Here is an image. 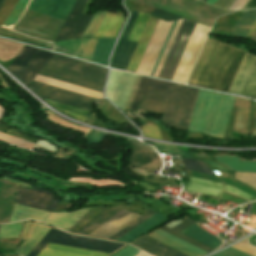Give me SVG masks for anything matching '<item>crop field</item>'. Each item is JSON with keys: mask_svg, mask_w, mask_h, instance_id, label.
Returning a JSON list of instances; mask_svg holds the SVG:
<instances>
[{"mask_svg": "<svg viewBox=\"0 0 256 256\" xmlns=\"http://www.w3.org/2000/svg\"><path fill=\"white\" fill-rule=\"evenodd\" d=\"M177 21H178V20L174 21L173 24H172V26H171V29H170V31H169V33H168V35H167V38H166V40H165V42H164V45H163V47H162V49H161V51H160V54H159V56H158V58H157V61H156L155 65H154V67H153V70H152L151 74H150L151 76L153 75V73H154V71H155V69H156V67H157V64H158V62H159V60H160V58H161V56H162V53H163V51H164V49H165V47H166V45H167V43H168V40H169V38H170V36H171V34H172V32H173V29H174V27H175Z\"/></svg>", "mask_w": 256, "mask_h": 256, "instance_id": "obj_55", "label": "crop field"}, {"mask_svg": "<svg viewBox=\"0 0 256 256\" xmlns=\"http://www.w3.org/2000/svg\"><path fill=\"white\" fill-rule=\"evenodd\" d=\"M133 245L155 255V256H186L172 248H169L147 236L139 238ZM132 245V246H133ZM134 246V247H135Z\"/></svg>", "mask_w": 256, "mask_h": 256, "instance_id": "obj_19", "label": "crop field"}, {"mask_svg": "<svg viewBox=\"0 0 256 256\" xmlns=\"http://www.w3.org/2000/svg\"><path fill=\"white\" fill-rule=\"evenodd\" d=\"M16 200L17 204L47 211H53L60 202L53 194L40 189H19Z\"/></svg>", "mask_w": 256, "mask_h": 256, "instance_id": "obj_14", "label": "crop field"}, {"mask_svg": "<svg viewBox=\"0 0 256 256\" xmlns=\"http://www.w3.org/2000/svg\"><path fill=\"white\" fill-rule=\"evenodd\" d=\"M166 104L165 102L145 98L139 110L153 114H162Z\"/></svg>", "mask_w": 256, "mask_h": 256, "instance_id": "obj_36", "label": "crop field"}, {"mask_svg": "<svg viewBox=\"0 0 256 256\" xmlns=\"http://www.w3.org/2000/svg\"><path fill=\"white\" fill-rule=\"evenodd\" d=\"M28 87L38 95L47 99L69 104L89 111L91 110V101L95 99L34 81H32Z\"/></svg>", "mask_w": 256, "mask_h": 256, "instance_id": "obj_10", "label": "crop field"}, {"mask_svg": "<svg viewBox=\"0 0 256 256\" xmlns=\"http://www.w3.org/2000/svg\"><path fill=\"white\" fill-rule=\"evenodd\" d=\"M122 209L118 208H108L106 211H104L100 216H98L94 221H92L88 226H86L82 231H80V234H86L89 235L94 230H96L98 227H100L102 224H104L107 220H109L111 217H113L115 214H117Z\"/></svg>", "mask_w": 256, "mask_h": 256, "instance_id": "obj_31", "label": "crop field"}, {"mask_svg": "<svg viewBox=\"0 0 256 256\" xmlns=\"http://www.w3.org/2000/svg\"><path fill=\"white\" fill-rule=\"evenodd\" d=\"M56 243L61 245H67L92 251H98L111 254L123 244H117L112 242H106L101 240H95L90 238H84L79 236H73L56 229H51L46 236L36 245V247L29 253L28 256H37L42 248L48 243Z\"/></svg>", "mask_w": 256, "mask_h": 256, "instance_id": "obj_6", "label": "crop field"}, {"mask_svg": "<svg viewBox=\"0 0 256 256\" xmlns=\"http://www.w3.org/2000/svg\"><path fill=\"white\" fill-rule=\"evenodd\" d=\"M51 55L52 53L24 45L7 70L27 86Z\"/></svg>", "mask_w": 256, "mask_h": 256, "instance_id": "obj_7", "label": "crop field"}, {"mask_svg": "<svg viewBox=\"0 0 256 256\" xmlns=\"http://www.w3.org/2000/svg\"><path fill=\"white\" fill-rule=\"evenodd\" d=\"M49 214L50 212L47 211L15 204L9 222L20 221L22 219L43 221Z\"/></svg>", "mask_w": 256, "mask_h": 256, "instance_id": "obj_24", "label": "crop field"}, {"mask_svg": "<svg viewBox=\"0 0 256 256\" xmlns=\"http://www.w3.org/2000/svg\"><path fill=\"white\" fill-rule=\"evenodd\" d=\"M149 15H152V16H155V17L167 20V21L183 18V17L176 16V15H173V14H170V13H167L164 11H160L157 9L153 10L151 13H149Z\"/></svg>", "mask_w": 256, "mask_h": 256, "instance_id": "obj_53", "label": "crop field"}, {"mask_svg": "<svg viewBox=\"0 0 256 256\" xmlns=\"http://www.w3.org/2000/svg\"><path fill=\"white\" fill-rule=\"evenodd\" d=\"M148 17H149L148 15H144L141 13L139 14V16L134 24V27H133L127 40L135 41V42L138 41Z\"/></svg>", "mask_w": 256, "mask_h": 256, "instance_id": "obj_39", "label": "crop field"}, {"mask_svg": "<svg viewBox=\"0 0 256 256\" xmlns=\"http://www.w3.org/2000/svg\"><path fill=\"white\" fill-rule=\"evenodd\" d=\"M215 161L225 167H228L234 171H252L256 172V163L254 162H244L239 161L238 157L234 156H215L213 155Z\"/></svg>", "mask_w": 256, "mask_h": 256, "instance_id": "obj_26", "label": "crop field"}, {"mask_svg": "<svg viewBox=\"0 0 256 256\" xmlns=\"http://www.w3.org/2000/svg\"><path fill=\"white\" fill-rule=\"evenodd\" d=\"M148 236H150V237H152V238H154V239H156V240H158V241H160V242H162V243H164V244H166V245H168V246H170V247H172V248H174V249H176V250H178V251H180V252H182V253H184L188 256H201V255H199V254H197V253H195V252H193V251H191V250H189V249H187V248H185V247H183V246H181V245H179V244H177V243H175V242H173L169 239H166V238H164V237H162V236H160V235H158L154 232L151 233Z\"/></svg>", "mask_w": 256, "mask_h": 256, "instance_id": "obj_38", "label": "crop field"}, {"mask_svg": "<svg viewBox=\"0 0 256 256\" xmlns=\"http://www.w3.org/2000/svg\"><path fill=\"white\" fill-rule=\"evenodd\" d=\"M0 36H4V37L12 38V39H15V40H18V41H22V42H25V43L37 45V46H40V47H43V48H46V49H49V50H51V47H52V44L41 42V41L31 39V38H28V37H24V36H21V35H18V34H14V33L8 32V31H6L2 28H0Z\"/></svg>", "mask_w": 256, "mask_h": 256, "instance_id": "obj_35", "label": "crop field"}, {"mask_svg": "<svg viewBox=\"0 0 256 256\" xmlns=\"http://www.w3.org/2000/svg\"><path fill=\"white\" fill-rule=\"evenodd\" d=\"M207 162V161H206ZM210 166H212L214 169H217V170H222V171H227V172H232L230 170H227L219 165H217L216 163L214 162H207ZM233 173V172H232Z\"/></svg>", "mask_w": 256, "mask_h": 256, "instance_id": "obj_62", "label": "crop field"}, {"mask_svg": "<svg viewBox=\"0 0 256 256\" xmlns=\"http://www.w3.org/2000/svg\"><path fill=\"white\" fill-rule=\"evenodd\" d=\"M22 223L23 222L9 225H1L0 238L18 237Z\"/></svg>", "mask_w": 256, "mask_h": 256, "instance_id": "obj_43", "label": "crop field"}, {"mask_svg": "<svg viewBox=\"0 0 256 256\" xmlns=\"http://www.w3.org/2000/svg\"><path fill=\"white\" fill-rule=\"evenodd\" d=\"M169 1L179 3V4H182V5L188 6V7H192V8L201 10L203 12H206V13H209V14H212V15H215V16L230 13L228 11L219 10L217 8H214V7L210 6V5L200 3L196 0H169Z\"/></svg>", "mask_w": 256, "mask_h": 256, "instance_id": "obj_32", "label": "crop field"}, {"mask_svg": "<svg viewBox=\"0 0 256 256\" xmlns=\"http://www.w3.org/2000/svg\"><path fill=\"white\" fill-rule=\"evenodd\" d=\"M234 98L200 89L188 131L224 136Z\"/></svg>", "mask_w": 256, "mask_h": 256, "instance_id": "obj_4", "label": "crop field"}, {"mask_svg": "<svg viewBox=\"0 0 256 256\" xmlns=\"http://www.w3.org/2000/svg\"><path fill=\"white\" fill-rule=\"evenodd\" d=\"M187 177L190 182L185 186V190L212 195L216 197H219L220 194L223 192V184L221 183L193 178L189 176Z\"/></svg>", "mask_w": 256, "mask_h": 256, "instance_id": "obj_21", "label": "crop field"}, {"mask_svg": "<svg viewBox=\"0 0 256 256\" xmlns=\"http://www.w3.org/2000/svg\"><path fill=\"white\" fill-rule=\"evenodd\" d=\"M195 24V22L185 19L183 20L177 36L173 42V45L170 49V52L163 65V68L159 74L160 78H165L169 80L172 79Z\"/></svg>", "mask_w": 256, "mask_h": 256, "instance_id": "obj_8", "label": "crop field"}, {"mask_svg": "<svg viewBox=\"0 0 256 256\" xmlns=\"http://www.w3.org/2000/svg\"><path fill=\"white\" fill-rule=\"evenodd\" d=\"M4 111L5 110L0 107V118L2 117ZM0 140H4L9 144L16 145V146L23 147V148H28V149H32V150L34 148L33 147L34 143L15 138V137L3 134L1 132H0Z\"/></svg>", "mask_w": 256, "mask_h": 256, "instance_id": "obj_40", "label": "crop field"}, {"mask_svg": "<svg viewBox=\"0 0 256 256\" xmlns=\"http://www.w3.org/2000/svg\"><path fill=\"white\" fill-rule=\"evenodd\" d=\"M131 145L133 151L130 155V165L144 170H160L162 162L156 153L150 152L149 149L134 142H131Z\"/></svg>", "mask_w": 256, "mask_h": 256, "instance_id": "obj_16", "label": "crop field"}, {"mask_svg": "<svg viewBox=\"0 0 256 256\" xmlns=\"http://www.w3.org/2000/svg\"><path fill=\"white\" fill-rule=\"evenodd\" d=\"M228 92L256 98V56L246 54Z\"/></svg>", "mask_w": 256, "mask_h": 256, "instance_id": "obj_9", "label": "crop field"}, {"mask_svg": "<svg viewBox=\"0 0 256 256\" xmlns=\"http://www.w3.org/2000/svg\"><path fill=\"white\" fill-rule=\"evenodd\" d=\"M154 214L156 213H154L152 210L149 209L142 217L138 218L131 224L127 225L126 227L118 231L117 233L113 234L112 236L109 237V239H113V240L118 239L119 237H121L122 235H124L125 233L133 229L134 227L138 226L139 224H141L142 222H144L145 220L153 216Z\"/></svg>", "mask_w": 256, "mask_h": 256, "instance_id": "obj_37", "label": "crop field"}, {"mask_svg": "<svg viewBox=\"0 0 256 256\" xmlns=\"http://www.w3.org/2000/svg\"><path fill=\"white\" fill-rule=\"evenodd\" d=\"M105 15V12H98L95 13L93 19L91 20L88 28L86 29L84 35L82 36V38H92L98 28V26L100 25L103 17Z\"/></svg>", "mask_w": 256, "mask_h": 256, "instance_id": "obj_42", "label": "crop field"}, {"mask_svg": "<svg viewBox=\"0 0 256 256\" xmlns=\"http://www.w3.org/2000/svg\"><path fill=\"white\" fill-rule=\"evenodd\" d=\"M32 222H27L22 233V240L26 239ZM51 227L34 223L25 242L17 249L18 254L27 255L32 248L41 240Z\"/></svg>", "mask_w": 256, "mask_h": 256, "instance_id": "obj_18", "label": "crop field"}, {"mask_svg": "<svg viewBox=\"0 0 256 256\" xmlns=\"http://www.w3.org/2000/svg\"><path fill=\"white\" fill-rule=\"evenodd\" d=\"M182 164H184L185 169H187V170L213 174L206 164L199 162V161L182 158Z\"/></svg>", "mask_w": 256, "mask_h": 256, "instance_id": "obj_41", "label": "crop field"}, {"mask_svg": "<svg viewBox=\"0 0 256 256\" xmlns=\"http://www.w3.org/2000/svg\"><path fill=\"white\" fill-rule=\"evenodd\" d=\"M158 20V18H154L151 16L149 17L146 26L142 32V35L138 41V44L125 70L132 72L136 71Z\"/></svg>", "mask_w": 256, "mask_h": 256, "instance_id": "obj_17", "label": "crop field"}, {"mask_svg": "<svg viewBox=\"0 0 256 256\" xmlns=\"http://www.w3.org/2000/svg\"><path fill=\"white\" fill-rule=\"evenodd\" d=\"M256 8V0H250L243 9Z\"/></svg>", "mask_w": 256, "mask_h": 256, "instance_id": "obj_63", "label": "crop field"}, {"mask_svg": "<svg viewBox=\"0 0 256 256\" xmlns=\"http://www.w3.org/2000/svg\"><path fill=\"white\" fill-rule=\"evenodd\" d=\"M60 110V109H59ZM61 111H63V110H61ZM63 112H65V113H67V114H69V115H71V116H74V117H76V118H78V119H81V120H84V121H86V117H83V116H79V115H76V114H73V113H70V112H67V111H63Z\"/></svg>", "mask_w": 256, "mask_h": 256, "instance_id": "obj_65", "label": "crop field"}, {"mask_svg": "<svg viewBox=\"0 0 256 256\" xmlns=\"http://www.w3.org/2000/svg\"><path fill=\"white\" fill-rule=\"evenodd\" d=\"M245 52L207 39L187 84L228 91Z\"/></svg>", "mask_w": 256, "mask_h": 256, "instance_id": "obj_1", "label": "crop field"}, {"mask_svg": "<svg viewBox=\"0 0 256 256\" xmlns=\"http://www.w3.org/2000/svg\"><path fill=\"white\" fill-rule=\"evenodd\" d=\"M221 197H223V198H225V199H228V200H231V201H233V202H236V203H238V204L245 203V202H249V201H247V200L241 199V198H239V197H236V196H234V195L228 194V193H226V192H224Z\"/></svg>", "mask_w": 256, "mask_h": 256, "instance_id": "obj_59", "label": "crop field"}, {"mask_svg": "<svg viewBox=\"0 0 256 256\" xmlns=\"http://www.w3.org/2000/svg\"><path fill=\"white\" fill-rule=\"evenodd\" d=\"M194 223H196V222L191 220V219H188V220L182 222L181 224H179V225H177V226H175L171 229H169L167 227H164V228H162V230H164V231H166V232H168V233H170V234H172V235H174V236H176V237H178V238H180V239H182V240H184V241H186V242H188V243H190V244H192V245H194V246H196V247H198V248H200V249H202V250H204L208 253L211 252L213 249H211V248H209V247H207V246H205V245H203V244H201V243H199V242H197V241L179 233L180 231L184 230L185 228L189 227L190 225H192Z\"/></svg>", "mask_w": 256, "mask_h": 256, "instance_id": "obj_28", "label": "crop field"}, {"mask_svg": "<svg viewBox=\"0 0 256 256\" xmlns=\"http://www.w3.org/2000/svg\"><path fill=\"white\" fill-rule=\"evenodd\" d=\"M250 101L236 97L233 131L246 136Z\"/></svg>", "mask_w": 256, "mask_h": 256, "instance_id": "obj_20", "label": "crop field"}, {"mask_svg": "<svg viewBox=\"0 0 256 256\" xmlns=\"http://www.w3.org/2000/svg\"><path fill=\"white\" fill-rule=\"evenodd\" d=\"M255 20L256 10L244 11L230 34L237 37H245Z\"/></svg>", "mask_w": 256, "mask_h": 256, "instance_id": "obj_27", "label": "crop field"}, {"mask_svg": "<svg viewBox=\"0 0 256 256\" xmlns=\"http://www.w3.org/2000/svg\"><path fill=\"white\" fill-rule=\"evenodd\" d=\"M235 177L256 190V173H235Z\"/></svg>", "mask_w": 256, "mask_h": 256, "instance_id": "obj_47", "label": "crop field"}, {"mask_svg": "<svg viewBox=\"0 0 256 256\" xmlns=\"http://www.w3.org/2000/svg\"><path fill=\"white\" fill-rule=\"evenodd\" d=\"M46 247L47 248L58 249V250L69 251V252L80 253V254H85V255H91V256H108V254L92 252V251H87V250H82V249H77V248H72V247H67V246L51 244V243H48L46 245Z\"/></svg>", "mask_w": 256, "mask_h": 256, "instance_id": "obj_44", "label": "crop field"}, {"mask_svg": "<svg viewBox=\"0 0 256 256\" xmlns=\"http://www.w3.org/2000/svg\"><path fill=\"white\" fill-rule=\"evenodd\" d=\"M155 232H157V233H159V234H161V235H163V236H165V237H167V238H169V239H171V240H173V241H175V242H177V243H179V244H181V245H183V246H185V247H187V248H189V249H191V250H193V251H195V252H197V253H199V254H201V255H204V254H206L205 252H203V251H201V250H199V249H197V248H195V247H193V246H191V245H189V244H187V243H185V242H183V241H181V240H179V239H177V238H175V237H173V236H171V235H169V234H167V233H165V232H163V231H161V230H156ZM154 232V233H155ZM156 233V234H157ZM158 234V235H159ZM160 235V236H161ZM162 236V237H163ZM164 237V238H165ZM166 238V239H167Z\"/></svg>", "mask_w": 256, "mask_h": 256, "instance_id": "obj_52", "label": "crop field"}, {"mask_svg": "<svg viewBox=\"0 0 256 256\" xmlns=\"http://www.w3.org/2000/svg\"><path fill=\"white\" fill-rule=\"evenodd\" d=\"M29 0H19L14 10L7 18V20L3 23L2 27L11 28L14 23L21 17L23 11L25 10Z\"/></svg>", "mask_w": 256, "mask_h": 256, "instance_id": "obj_33", "label": "crop field"}, {"mask_svg": "<svg viewBox=\"0 0 256 256\" xmlns=\"http://www.w3.org/2000/svg\"><path fill=\"white\" fill-rule=\"evenodd\" d=\"M103 133H99V132H93V134L90 136V138L87 140L90 143H100L102 137H103Z\"/></svg>", "mask_w": 256, "mask_h": 256, "instance_id": "obj_60", "label": "crop field"}, {"mask_svg": "<svg viewBox=\"0 0 256 256\" xmlns=\"http://www.w3.org/2000/svg\"><path fill=\"white\" fill-rule=\"evenodd\" d=\"M114 41L115 40L99 39L91 61L107 66V58Z\"/></svg>", "mask_w": 256, "mask_h": 256, "instance_id": "obj_30", "label": "crop field"}, {"mask_svg": "<svg viewBox=\"0 0 256 256\" xmlns=\"http://www.w3.org/2000/svg\"><path fill=\"white\" fill-rule=\"evenodd\" d=\"M253 137H256V120H255V126H254V134Z\"/></svg>", "mask_w": 256, "mask_h": 256, "instance_id": "obj_68", "label": "crop field"}, {"mask_svg": "<svg viewBox=\"0 0 256 256\" xmlns=\"http://www.w3.org/2000/svg\"><path fill=\"white\" fill-rule=\"evenodd\" d=\"M255 31H256V21H255L254 25L252 26V28L250 29V31L248 32V34L246 35V38L251 39V37Z\"/></svg>", "mask_w": 256, "mask_h": 256, "instance_id": "obj_64", "label": "crop field"}, {"mask_svg": "<svg viewBox=\"0 0 256 256\" xmlns=\"http://www.w3.org/2000/svg\"><path fill=\"white\" fill-rule=\"evenodd\" d=\"M140 129L143 131L145 136L153 137L156 139H161L159 128L157 125L145 124Z\"/></svg>", "mask_w": 256, "mask_h": 256, "instance_id": "obj_50", "label": "crop field"}, {"mask_svg": "<svg viewBox=\"0 0 256 256\" xmlns=\"http://www.w3.org/2000/svg\"><path fill=\"white\" fill-rule=\"evenodd\" d=\"M97 40L98 39H92V40L82 39L76 57L86 59V60H91Z\"/></svg>", "mask_w": 256, "mask_h": 256, "instance_id": "obj_34", "label": "crop field"}, {"mask_svg": "<svg viewBox=\"0 0 256 256\" xmlns=\"http://www.w3.org/2000/svg\"><path fill=\"white\" fill-rule=\"evenodd\" d=\"M4 2H5V0H0V8L2 7Z\"/></svg>", "mask_w": 256, "mask_h": 256, "instance_id": "obj_69", "label": "crop field"}, {"mask_svg": "<svg viewBox=\"0 0 256 256\" xmlns=\"http://www.w3.org/2000/svg\"><path fill=\"white\" fill-rule=\"evenodd\" d=\"M225 190L229 191L231 193L237 194L239 196L245 197V198L250 199V200H256L255 199L256 197L253 198V197H251V196H249V195H247V194H245V193H243V192H241V191H239V190H237V189H235V188H233L231 186H228L226 184H225Z\"/></svg>", "mask_w": 256, "mask_h": 256, "instance_id": "obj_58", "label": "crop field"}, {"mask_svg": "<svg viewBox=\"0 0 256 256\" xmlns=\"http://www.w3.org/2000/svg\"><path fill=\"white\" fill-rule=\"evenodd\" d=\"M163 219L165 218L156 214L150 219H148L147 221H145L144 223H142L141 225H139L138 227L134 228L133 230H131L130 232H128L127 234L119 238L118 241L130 243L136 237L140 236L143 232H145L146 230H148L158 222L162 221Z\"/></svg>", "mask_w": 256, "mask_h": 256, "instance_id": "obj_29", "label": "crop field"}, {"mask_svg": "<svg viewBox=\"0 0 256 256\" xmlns=\"http://www.w3.org/2000/svg\"><path fill=\"white\" fill-rule=\"evenodd\" d=\"M201 1L205 2L206 0H201Z\"/></svg>", "mask_w": 256, "mask_h": 256, "instance_id": "obj_71", "label": "crop field"}, {"mask_svg": "<svg viewBox=\"0 0 256 256\" xmlns=\"http://www.w3.org/2000/svg\"><path fill=\"white\" fill-rule=\"evenodd\" d=\"M38 256H85V255L44 248Z\"/></svg>", "mask_w": 256, "mask_h": 256, "instance_id": "obj_51", "label": "crop field"}, {"mask_svg": "<svg viewBox=\"0 0 256 256\" xmlns=\"http://www.w3.org/2000/svg\"><path fill=\"white\" fill-rule=\"evenodd\" d=\"M181 233L188 235L213 249H216L222 243L219 238L207 233L196 224L190 226Z\"/></svg>", "mask_w": 256, "mask_h": 256, "instance_id": "obj_25", "label": "crop field"}, {"mask_svg": "<svg viewBox=\"0 0 256 256\" xmlns=\"http://www.w3.org/2000/svg\"><path fill=\"white\" fill-rule=\"evenodd\" d=\"M55 54L45 63L39 75L102 93L106 68Z\"/></svg>", "mask_w": 256, "mask_h": 256, "instance_id": "obj_3", "label": "crop field"}, {"mask_svg": "<svg viewBox=\"0 0 256 256\" xmlns=\"http://www.w3.org/2000/svg\"><path fill=\"white\" fill-rule=\"evenodd\" d=\"M138 252H139V250H137L131 246H127V247L123 248L122 250H120L119 252H117L113 256H134Z\"/></svg>", "mask_w": 256, "mask_h": 256, "instance_id": "obj_57", "label": "crop field"}, {"mask_svg": "<svg viewBox=\"0 0 256 256\" xmlns=\"http://www.w3.org/2000/svg\"><path fill=\"white\" fill-rule=\"evenodd\" d=\"M172 22L159 20L136 72L150 74Z\"/></svg>", "mask_w": 256, "mask_h": 256, "instance_id": "obj_13", "label": "crop field"}, {"mask_svg": "<svg viewBox=\"0 0 256 256\" xmlns=\"http://www.w3.org/2000/svg\"><path fill=\"white\" fill-rule=\"evenodd\" d=\"M87 0H77L54 42L80 38L91 16L81 14Z\"/></svg>", "mask_w": 256, "mask_h": 256, "instance_id": "obj_12", "label": "crop field"}, {"mask_svg": "<svg viewBox=\"0 0 256 256\" xmlns=\"http://www.w3.org/2000/svg\"><path fill=\"white\" fill-rule=\"evenodd\" d=\"M174 85L172 83L142 77L129 109L136 111L146 93L147 98L167 102Z\"/></svg>", "mask_w": 256, "mask_h": 256, "instance_id": "obj_11", "label": "crop field"}, {"mask_svg": "<svg viewBox=\"0 0 256 256\" xmlns=\"http://www.w3.org/2000/svg\"><path fill=\"white\" fill-rule=\"evenodd\" d=\"M0 131L3 132V133H6V134H9V135H12V136H15V137H18V138H21V139H24V140H28V141H31V142H34L36 143L38 138H34V137H31V136H28L18 130H15V129H12L2 123H0Z\"/></svg>", "mask_w": 256, "mask_h": 256, "instance_id": "obj_45", "label": "crop field"}, {"mask_svg": "<svg viewBox=\"0 0 256 256\" xmlns=\"http://www.w3.org/2000/svg\"><path fill=\"white\" fill-rule=\"evenodd\" d=\"M252 40L256 41V32H255L254 36L252 37Z\"/></svg>", "mask_w": 256, "mask_h": 256, "instance_id": "obj_70", "label": "crop field"}, {"mask_svg": "<svg viewBox=\"0 0 256 256\" xmlns=\"http://www.w3.org/2000/svg\"><path fill=\"white\" fill-rule=\"evenodd\" d=\"M154 145L156 146V148L159 151V153L175 154V155L191 158L182 149L171 147V146H167V145H162V144H156V143H154Z\"/></svg>", "mask_w": 256, "mask_h": 256, "instance_id": "obj_46", "label": "crop field"}, {"mask_svg": "<svg viewBox=\"0 0 256 256\" xmlns=\"http://www.w3.org/2000/svg\"><path fill=\"white\" fill-rule=\"evenodd\" d=\"M234 248L238 249V250H241L247 254H250L252 256H256V248L253 247V246H250L248 243H247V240L245 239L244 241H242L241 243L233 246Z\"/></svg>", "mask_w": 256, "mask_h": 256, "instance_id": "obj_54", "label": "crop field"}, {"mask_svg": "<svg viewBox=\"0 0 256 256\" xmlns=\"http://www.w3.org/2000/svg\"><path fill=\"white\" fill-rule=\"evenodd\" d=\"M76 0H32L28 10L65 21ZM26 10L14 30L53 42L63 21Z\"/></svg>", "mask_w": 256, "mask_h": 256, "instance_id": "obj_2", "label": "crop field"}, {"mask_svg": "<svg viewBox=\"0 0 256 256\" xmlns=\"http://www.w3.org/2000/svg\"><path fill=\"white\" fill-rule=\"evenodd\" d=\"M215 1H216V0H207L206 3H209V4H212V5H213Z\"/></svg>", "mask_w": 256, "mask_h": 256, "instance_id": "obj_67", "label": "crop field"}, {"mask_svg": "<svg viewBox=\"0 0 256 256\" xmlns=\"http://www.w3.org/2000/svg\"><path fill=\"white\" fill-rule=\"evenodd\" d=\"M7 256H10V255H7Z\"/></svg>", "mask_w": 256, "mask_h": 256, "instance_id": "obj_72", "label": "crop field"}, {"mask_svg": "<svg viewBox=\"0 0 256 256\" xmlns=\"http://www.w3.org/2000/svg\"><path fill=\"white\" fill-rule=\"evenodd\" d=\"M198 90L176 84L161 121L171 127L187 130Z\"/></svg>", "mask_w": 256, "mask_h": 256, "instance_id": "obj_5", "label": "crop field"}, {"mask_svg": "<svg viewBox=\"0 0 256 256\" xmlns=\"http://www.w3.org/2000/svg\"><path fill=\"white\" fill-rule=\"evenodd\" d=\"M44 100L47 101L50 105H52L54 107H57V108H60V109H63V110H67V111L77 113V114H80V115H83V116H88V114H89V111H85V110L75 108V107H72V106H69V105L49 101V100H46V99H44Z\"/></svg>", "mask_w": 256, "mask_h": 256, "instance_id": "obj_48", "label": "crop field"}, {"mask_svg": "<svg viewBox=\"0 0 256 256\" xmlns=\"http://www.w3.org/2000/svg\"><path fill=\"white\" fill-rule=\"evenodd\" d=\"M123 14L118 12L117 15L107 12L94 38L109 37L114 38L119 27L123 22ZM93 38V37H92Z\"/></svg>", "mask_w": 256, "mask_h": 256, "instance_id": "obj_23", "label": "crop field"}, {"mask_svg": "<svg viewBox=\"0 0 256 256\" xmlns=\"http://www.w3.org/2000/svg\"><path fill=\"white\" fill-rule=\"evenodd\" d=\"M91 209H82L71 213H51L44 222L67 230Z\"/></svg>", "mask_w": 256, "mask_h": 256, "instance_id": "obj_22", "label": "crop field"}, {"mask_svg": "<svg viewBox=\"0 0 256 256\" xmlns=\"http://www.w3.org/2000/svg\"><path fill=\"white\" fill-rule=\"evenodd\" d=\"M135 256H150V255H148V254H146V253L140 251V252H139L137 255H135Z\"/></svg>", "mask_w": 256, "mask_h": 256, "instance_id": "obj_66", "label": "crop field"}, {"mask_svg": "<svg viewBox=\"0 0 256 256\" xmlns=\"http://www.w3.org/2000/svg\"><path fill=\"white\" fill-rule=\"evenodd\" d=\"M138 12L133 11L111 59V67L124 70L137 43L126 41Z\"/></svg>", "mask_w": 256, "mask_h": 256, "instance_id": "obj_15", "label": "crop field"}, {"mask_svg": "<svg viewBox=\"0 0 256 256\" xmlns=\"http://www.w3.org/2000/svg\"><path fill=\"white\" fill-rule=\"evenodd\" d=\"M18 0H6L5 4L0 10V26L10 14Z\"/></svg>", "mask_w": 256, "mask_h": 256, "instance_id": "obj_49", "label": "crop field"}, {"mask_svg": "<svg viewBox=\"0 0 256 256\" xmlns=\"http://www.w3.org/2000/svg\"><path fill=\"white\" fill-rule=\"evenodd\" d=\"M214 256H250L234 248H229L223 252H220Z\"/></svg>", "mask_w": 256, "mask_h": 256, "instance_id": "obj_56", "label": "crop field"}, {"mask_svg": "<svg viewBox=\"0 0 256 256\" xmlns=\"http://www.w3.org/2000/svg\"><path fill=\"white\" fill-rule=\"evenodd\" d=\"M99 207H97V208H93L91 211H89L85 216H83L82 218H81V220H79L78 222H77V224H74L72 227H70L69 229H68V231H72L73 229H75L81 222H83L88 216H90L96 209H98Z\"/></svg>", "mask_w": 256, "mask_h": 256, "instance_id": "obj_61", "label": "crop field"}]
</instances>
